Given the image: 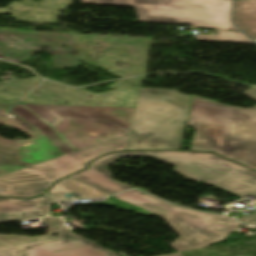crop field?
<instances>
[{
	"mask_svg": "<svg viewBox=\"0 0 256 256\" xmlns=\"http://www.w3.org/2000/svg\"><path fill=\"white\" fill-rule=\"evenodd\" d=\"M197 41L254 44L243 33L220 32L218 36L198 35Z\"/></svg>",
	"mask_w": 256,
	"mask_h": 256,
	"instance_id": "28ad6ade",
	"label": "crop field"
},
{
	"mask_svg": "<svg viewBox=\"0 0 256 256\" xmlns=\"http://www.w3.org/2000/svg\"><path fill=\"white\" fill-rule=\"evenodd\" d=\"M151 155L179 166L176 171L205 183L222 187L244 198L245 194L256 195V172L241 167L215 154L182 151L117 152L92 162L89 169L70 178L89 184L111 194L130 189L111 180L107 168L120 156Z\"/></svg>",
	"mask_w": 256,
	"mask_h": 256,
	"instance_id": "ac0d7876",
	"label": "crop field"
},
{
	"mask_svg": "<svg viewBox=\"0 0 256 256\" xmlns=\"http://www.w3.org/2000/svg\"><path fill=\"white\" fill-rule=\"evenodd\" d=\"M190 97L169 89L142 88L127 149H180Z\"/></svg>",
	"mask_w": 256,
	"mask_h": 256,
	"instance_id": "f4fd0767",
	"label": "crop field"
},
{
	"mask_svg": "<svg viewBox=\"0 0 256 256\" xmlns=\"http://www.w3.org/2000/svg\"><path fill=\"white\" fill-rule=\"evenodd\" d=\"M49 193L51 194L52 198L56 199L57 201L69 200L64 195L66 193H81V196H79L80 199L111 195L70 178H66L56 183Z\"/></svg>",
	"mask_w": 256,
	"mask_h": 256,
	"instance_id": "5a996713",
	"label": "crop field"
},
{
	"mask_svg": "<svg viewBox=\"0 0 256 256\" xmlns=\"http://www.w3.org/2000/svg\"><path fill=\"white\" fill-rule=\"evenodd\" d=\"M13 104L0 103V112ZM135 109L19 104L0 114V124L30 136L24 143L0 142V171L12 172L84 149L131 130ZM122 115L119 118L116 115ZM106 133L101 138L100 133Z\"/></svg>",
	"mask_w": 256,
	"mask_h": 256,
	"instance_id": "8a807250",
	"label": "crop field"
},
{
	"mask_svg": "<svg viewBox=\"0 0 256 256\" xmlns=\"http://www.w3.org/2000/svg\"><path fill=\"white\" fill-rule=\"evenodd\" d=\"M48 196L32 200L0 198V221L47 216ZM49 231L44 237L0 235V256H118L62 225L61 219L43 218ZM56 233L58 237H52Z\"/></svg>",
	"mask_w": 256,
	"mask_h": 256,
	"instance_id": "412701ff",
	"label": "crop field"
},
{
	"mask_svg": "<svg viewBox=\"0 0 256 256\" xmlns=\"http://www.w3.org/2000/svg\"><path fill=\"white\" fill-rule=\"evenodd\" d=\"M232 0H82L83 3L135 6L140 20L185 23L240 31L230 23ZM145 9V10H143Z\"/></svg>",
	"mask_w": 256,
	"mask_h": 256,
	"instance_id": "e52e79f7",
	"label": "crop field"
},
{
	"mask_svg": "<svg viewBox=\"0 0 256 256\" xmlns=\"http://www.w3.org/2000/svg\"><path fill=\"white\" fill-rule=\"evenodd\" d=\"M114 197L162 216L181 236L170 244L177 251L193 250L221 241L240 225L232 218L181 209L137 190Z\"/></svg>",
	"mask_w": 256,
	"mask_h": 256,
	"instance_id": "dd49c442",
	"label": "crop field"
},
{
	"mask_svg": "<svg viewBox=\"0 0 256 256\" xmlns=\"http://www.w3.org/2000/svg\"><path fill=\"white\" fill-rule=\"evenodd\" d=\"M189 127L191 149L215 151L256 169V106L242 109L194 97Z\"/></svg>",
	"mask_w": 256,
	"mask_h": 256,
	"instance_id": "34b2d1b8",
	"label": "crop field"
},
{
	"mask_svg": "<svg viewBox=\"0 0 256 256\" xmlns=\"http://www.w3.org/2000/svg\"><path fill=\"white\" fill-rule=\"evenodd\" d=\"M244 95L256 101V89H254Z\"/></svg>",
	"mask_w": 256,
	"mask_h": 256,
	"instance_id": "22f410ed",
	"label": "crop field"
},
{
	"mask_svg": "<svg viewBox=\"0 0 256 256\" xmlns=\"http://www.w3.org/2000/svg\"><path fill=\"white\" fill-rule=\"evenodd\" d=\"M241 222L255 224L256 225V213L249 217H240L238 218Z\"/></svg>",
	"mask_w": 256,
	"mask_h": 256,
	"instance_id": "d1516ede",
	"label": "crop field"
},
{
	"mask_svg": "<svg viewBox=\"0 0 256 256\" xmlns=\"http://www.w3.org/2000/svg\"><path fill=\"white\" fill-rule=\"evenodd\" d=\"M234 23L253 39L256 38V0L235 1Z\"/></svg>",
	"mask_w": 256,
	"mask_h": 256,
	"instance_id": "3316defc",
	"label": "crop field"
},
{
	"mask_svg": "<svg viewBox=\"0 0 256 256\" xmlns=\"http://www.w3.org/2000/svg\"><path fill=\"white\" fill-rule=\"evenodd\" d=\"M128 135L0 176V195L37 196L55 180L85 168L89 160L107 152L126 149Z\"/></svg>",
	"mask_w": 256,
	"mask_h": 256,
	"instance_id": "d8731c3e",
	"label": "crop field"
},
{
	"mask_svg": "<svg viewBox=\"0 0 256 256\" xmlns=\"http://www.w3.org/2000/svg\"><path fill=\"white\" fill-rule=\"evenodd\" d=\"M167 256H180V254H179V253H176V254L167 255Z\"/></svg>",
	"mask_w": 256,
	"mask_h": 256,
	"instance_id": "cbeb9de0",
	"label": "crop field"
}]
</instances>
